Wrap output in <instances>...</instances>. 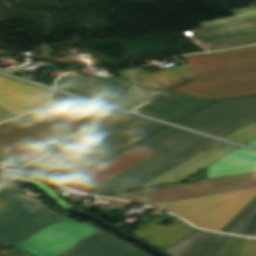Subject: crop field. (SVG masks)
<instances>
[{"label":"crop field","instance_id":"crop-field-1","mask_svg":"<svg viewBox=\"0 0 256 256\" xmlns=\"http://www.w3.org/2000/svg\"><path fill=\"white\" fill-rule=\"evenodd\" d=\"M121 114L55 92L49 106L0 124V154L25 165L51 151L38 146L46 140L71 142Z\"/></svg>","mask_w":256,"mask_h":256},{"label":"crop field","instance_id":"crop-field-2","mask_svg":"<svg viewBox=\"0 0 256 256\" xmlns=\"http://www.w3.org/2000/svg\"><path fill=\"white\" fill-rule=\"evenodd\" d=\"M167 125L125 114L19 170L44 177L58 169L63 182Z\"/></svg>","mask_w":256,"mask_h":256},{"label":"crop field","instance_id":"crop-field-3","mask_svg":"<svg viewBox=\"0 0 256 256\" xmlns=\"http://www.w3.org/2000/svg\"><path fill=\"white\" fill-rule=\"evenodd\" d=\"M183 58L199 74L147 88L213 100L256 94V45Z\"/></svg>","mask_w":256,"mask_h":256},{"label":"crop field","instance_id":"crop-field-4","mask_svg":"<svg viewBox=\"0 0 256 256\" xmlns=\"http://www.w3.org/2000/svg\"><path fill=\"white\" fill-rule=\"evenodd\" d=\"M254 197H256V188H251L150 204V206L175 213L200 228L220 231Z\"/></svg>","mask_w":256,"mask_h":256},{"label":"crop field","instance_id":"crop-field-5","mask_svg":"<svg viewBox=\"0 0 256 256\" xmlns=\"http://www.w3.org/2000/svg\"><path fill=\"white\" fill-rule=\"evenodd\" d=\"M18 188L2 186L0 196L13 200L0 211V244L16 245L39 230L65 219Z\"/></svg>","mask_w":256,"mask_h":256},{"label":"crop field","instance_id":"crop-field-6","mask_svg":"<svg viewBox=\"0 0 256 256\" xmlns=\"http://www.w3.org/2000/svg\"><path fill=\"white\" fill-rule=\"evenodd\" d=\"M56 87L129 110L162 93L142 89L111 75L98 78L76 72L60 78Z\"/></svg>","mask_w":256,"mask_h":256},{"label":"crop field","instance_id":"crop-field-7","mask_svg":"<svg viewBox=\"0 0 256 256\" xmlns=\"http://www.w3.org/2000/svg\"><path fill=\"white\" fill-rule=\"evenodd\" d=\"M251 121L256 122V96L216 102L177 124L223 138Z\"/></svg>","mask_w":256,"mask_h":256},{"label":"crop field","instance_id":"crop-field-8","mask_svg":"<svg viewBox=\"0 0 256 256\" xmlns=\"http://www.w3.org/2000/svg\"><path fill=\"white\" fill-rule=\"evenodd\" d=\"M251 187H256V172L212 178L183 185L156 187L147 190L110 195L109 197L149 204Z\"/></svg>","mask_w":256,"mask_h":256},{"label":"crop field","instance_id":"crop-field-9","mask_svg":"<svg viewBox=\"0 0 256 256\" xmlns=\"http://www.w3.org/2000/svg\"><path fill=\"white\" fill-rule=\"evenodd\" d=\"M95 229L89 223L80 224L68 218L39 231L17 245L37 256H58Z\"/></svg>","mask_w":256,"mask_h":256},{"label":"crop field","instance_id":"crop-field-10","mask_svg":"<svg viewBox=\"0 0 256 256\" xmlns=\"http://www.w3.org/2000/svg\"><path fill=\"white\" fill-rule=\"evenodd\" d=\"M157 152L138 144L63 185L88 193Z\"/></svg>","mask_w":256,"mask_h":256},{"label":"crop field","instance_id":"crop-field-11","mask_svg":"<svg viewBox=\"0 0 256 256\" xmlns=\"http://www.w3.org/2000/svg\"><path fill=\"white\" fill-rule=\"evenodd\" d=\"M197 43L209 51L256 43V18L193 30Z\"/></svg>","mask_w":256,"mask_h":256},{"label":"crop field","instance_id":"crop-field-12","mask_svg":"<svg viewBox=\"0 0 256 256\" xmlns=\"http://www.w3.org/2000/svg\"><path fill=\"white\" fill-rule=\"evenodd\" d=\"M50 90L0 76V107L18 116L47 104Z\"/></svg>","mask_w":256,"mask_h":256},{"label":"crop field","instance_id":"crop-field-13","mask_svg":"<svg viewBox=\"0 0 256 256\" xmlns=\"http://www.w3.org/2000/svg\"><path fill=\"white\" fill-rule=\"evenodd\" d=\"M181 161L159 152L90 193L100 195L136 188Z\"/></svg>","mask_w":256,"mask_h":256},{"label":"crop field","instance_id":"crop-field-14","mask_svg":"<svg viewBox=\"0 0 256 256\" xmlns=\"http://www.w3.org/2000/svg\"><path fill=\"white\" fill-rule=\"evenodd\" d=\"M214 142L216 140L170 126L140 144L184 160Z\"/></svg>","mask_w":256,"mask_h":256},{"label":"crop field","instance_id":"crop-field-15","mask_svg":"<svg viewBox=\"0 0 256 256\" xmlns=\"http://www.w3.org/2000/svg\"><path fill=\"white\" fill-rule=\"evenodd\" d=\"M240 147L218 141L171 169L151 179L141 187L179 182L230 154Z\"/></svg>","mask_w":256,"mask_h":256},{"label":"crop field","instance_id":"crop-field-16","mask_svg":"<svg viewBox=\"0 0 256 256\" xmlns=\"http://www.w3.org/2000/svg\"><path fill=\"white\" fill-rule=\"evenodd\" d=\"M59 256H149L136 247L99 229Z\"/></svg>","mask_w":256,"mask_h":256},{"label":"crop field","instance_id":"crop-field-17","mask_svg":"<svg viewBox=\"0 0 256 256\" xmlns=\"http://www.w3.org/2000/svg\"><path fill=\"white\" fill-rule=\"evenodd\" d=\"M211 102L213 101L171 94L165 98L158 96L133 111L174 123Z\"/></svg>","mask_w":256,"mask_h":256},{"label":"crop field","instance_id":"crop-field-18","mask_svg":"<svg viewBox=\"0 0 256 256\" xmlns=\"http://www.w3.org/2000/svg\"><path fill=\"white\" fill-rule=\"evenodd\" d=\"M229 235L197 230L162 250L171 256H217Z\"/></svg>","mask_w":256,"mask_h":256},{"label":"crop field","instance_id":"crop-field-19","mask_svg":"<svg viewBox=\"0 0 256 256\" xmlns=\"http://www.w3.org/2000/svg\"><path fill=\"white\" fill-rule=\"evenodd\" d=\"M174 219L175 216L167 213L145 226L131 232V234L146 239L153 246L164 249L184 236L190 234L191 232L197 230L192 226L186 224L183 220L179 219L172 223V225L165 227L158 224L165 219Z\"/></svg>","mask_w":256,"mask_h":256},{"label":"crop field","instance_id":"crop-field-20","mask_svg":"<svg viewBox=\"0 0 256 256\" xmlns=\"http://www.w3.org/2000/svg\"><path fill=\"white\" fill-rule=\"evenodd\" d=\"M253 171H256V152L240 148L208 166L207 178Z\"/></svg>","mask_w":256,"mask_h":256},{"label":"crop field","instance_id":"crop-field-21","mask_svg":"<svg viewBox=\"0 0 256 256\" xmlns=\"http://www.w3.org/2000/svg\"><path fill=\"white\" fill-rule=\"evenodd\" d=\"M117 73L128 81L147 87L184 76L196 74L197 72L188 63H186L184 65L159 72L148 73L143 68L139 67L118 71Z\"/></svg>","mask_w":256,"mask_h":256},{"label":"crop field","instance_id":"crop-field-22","mask_svg":"<svg viewBox=\"0 0 256 256\" xmlns=\"http://www.w3.org/2000/svg\"><path fill=\"white\" fill-rule=\"evenodd\" d=\"M221 231L245 236H256V198Z\"/></svg>","mask_w":256,"mask_h":256},{"label":"crop field","instance_id":"crop-field-23","mask_svg":"<svg viewBox=\"0 0 256 256\" xmlns=\"http://www.w3.org/2000/svg\"><path fill=\"white\" fill-rule=\"evenodd\" d=\"M218 256H256V239L231 236Z\"/></svg>","mask_w":256,"mask_h":256},{"label":"crop field","instance_id":"crop-field-24","mask_svg":"<svg viewBox=\"0 0 256 256\" xmlns=\"http://www.w3.org/2000/svg\"><path fill=\"white\" fill-rule=\"evenodd\" d=\"M232 12L234 13V15L236 17L219 19V20H214V21H209V22H203V23H200V25L202 26V28H205V27H210V26H215V25H219V24H224V23H229V22H234V21H239V20L256 17V6L251 5L250 7L246 8V9L234 10Z\"/></svg>","mask_w":256,"mask_h":256},{"label":"crop field","instance_id":"crop-field-25","mask_svg":"<svg viewBox=\"0 0 256 256\" xmlns=\"http://www.w3.org/2000/svg\"><path fill=\"white\" fill-rule=\"evenodd\" d=\"M254 138H256V123L251 122L234 133L228 135L224 139L245 144Z\"/></svg>","mask_w":256,"mask_h":256},{"label":"crop field","instance_id":"crop-field-26","mask_svg":"<svg viewBox=\"0 0 256 256\" xmlns=\"http://www.w3.org/2000/svg\"><path fill=\"white\" fill-rule=\"evenodd\" d=\"M102 199H104L108 202H111V204L105 210L100 208V210H102V211L113 210V209H116V208L119 209V208H123V207H126V206L131 204V203L115 201V200L107 199V198H102Z\"/></svg>","mask_w":256,"mask_h":256},{"label":"crop field","instance_id":"crop-field-27","mask_svg":"<svg viewBox=\"0 0 256 256\" xmlns=\"http://www.w3.org/2000/svg\"><path fill=\"white\" fill-rule=\"evenodd\" d=\"M12 117H15V116L3 110L2 108H0V122Z\"/></svg>","mask_w":256,"mask_h":256},{"label":"crop field","instance_id":"crop-field-28","mask_svg":"<svg viewBox=\"0 0 256 256\" xmlns=\"http://www.w3.org/2000/svg\"><path fill=\"white\" fill-rule=\"evenodd\" d=\"M11 200L0 197V210L5 207Z\"/></svg>","mask_w":256,"mask_h":256},{"label":"crop field","instance_id":"crop-field-29","mask_svg":"<svg viewBox=\"0 0 256 256\" xmlns=\"http://www.w3.org/2000/svg\"><path fill=\"white\" fill-rule=\"evenodd\" d=\"M32 64H35L37 66H41L43 68L45 67H48L46 64H48L47 62H36V63H31V64H27V65H23V66H20V67H24V66H28V65H32Z\"/></svg>","mask_w":256,"mask_h":256},{"label":"crop field","instance_id":"crop-field-30","mask_svg":"<svg viewBox=\"0 0 256 256\" xmlns=\"http://www.w3.org/2000/svg\"><path fill=\"white\" fill-rule=\"evenodd\" d=\"M18 70H21V69H19V68H14V69H9V70H3L2 72L11 74V73L16 72V71H18Z\"/></svg>","mask_w":256,"mask_h":256},{"label":"crop field","instance_id":"crop-field-31","mask_svg":"<svg viewBox=\"0 0 256 256\" xmlns=\"http://www.w3.org/2000/svg\"><path fill=\"white\" fill-rule=\"evenodd\" d=\"M246 145L256 147V139L252 140L251 142L247 143Z\"/></svg>","mask_w":256,"mask_h":256},{"label":"crop field","instance_id":"crop-field-32","mask_svg":"<svg viewBox=\"0 0 256 256\" xmlns=\"http://www.w3.org/2000/svg\"><path fill=\"white\" fill-rule=\"evenodd\" d=\"M13 75V74H12ZM23 78H26V79H30V80H33L34 78H32V77H29V76H27V75H25V76H22Z\"/></svg>","mask_w":256,"mask_h":256},{"label":"crop field","instance_id":"crop-field-33","mask_svg":"<svg viewBox=\"0 0 256 256\" xmlns=\"http://www.w3.org/2000/svg\"><path fill=\"white\" fill-rule=\"evenodd\" d=\"M1 169V168H0Z\"/></svg>","mask_w":256,"mask_h":256}]
</instances>
